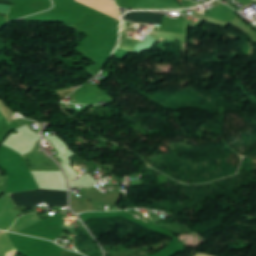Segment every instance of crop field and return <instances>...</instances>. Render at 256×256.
Wrapping results in <instances>:
<instances>
[{"label": "crop field", "instance_id": "obj_1", "mask_svg": "<svg viewBox=\"0 0 256 256\" xmlns=\"http://www.w3.org/2000/svg\"><path fill=\"white\" fill-rule=\"evenodd\" d=\"M17 206L29 208L42 201L49 206L67 205V192L36 190L10 194Z\"/></svg>", "mask_w": 256, "mask_h": 256}, {"label": "crop field", "instance_id": "obj_2", "mask_svg": "<svg viewBox=\"0 0 256 256\" xmlns=\"http://www.w3.org/2000/svg\"><path fill=\"white\" fill-rule=\"evenodd\" d=\"M162 15L153 12H131L127 13L123 19L135 23H155L160 24Z\"/></svg>", "mask_w": 256, "mask_h": 256}, {"label": "crop field", "instance_id": "obj_5", "mask_svg": "<svg viewBox=\"0 0 256 256\" xmlns=\"http://www.w3.org/2000/svg\"><path fill=\"white\" fill-rule=\"evenodd\" d=\"M9 0H0V2H4V3H6V2H8Z\"/></svg>", "mask_w": 256, "mask_h": 256}, {"label": "crop field", "instance_id": "obj_4", "mask_svg": "<svg viewBox=\"0 0 256 256\" xmlns=\"http://www.w3.org/2000/svg\"><path fill=\"white\" fill-rule=\"evenodd\" d=\"M9 7H10V6H8V5H1V4H0V12L7 14V11H8V9H9Z\"/></svg>", "mask_w": 256, "mask_h": 256}, {"label": "crop field", "instance_id": "obj_3", "mask_svg": "<svg viewBox=\"0 0 256 256\" xmlns=\"http://www.w3.org/2000/svg\"><path fill=\"white\" fill-rule=\"evenodd\" d=\"M7 184V176L0 177V189H5ZM5 193V190H0V196Z\"/></svg>", "mask_w": 256, "mask_h": 256}]
</instances>
